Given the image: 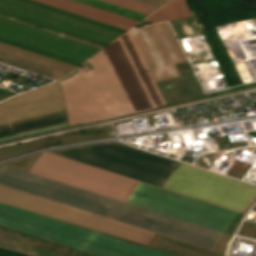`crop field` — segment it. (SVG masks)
I'll return each instance as SVG.
<instances>
[{"label": "crop field", "instance_id": "obj_1", "mask_svg": "<svg viewBox=\"0 0 256 256\" xmlns=\"http://www.w3.org/2000/svg\"><path fill=\"white\" fill-rule=\"evenodd\" d=\"M162 187L177 161L115 144L57 153ZM45 152L29 172L125 201L138 180ZM4 165L0 184L212 250L256 186L178 162L163 188L139 181L127 200L134 206Z\"/></svg>", "mask_w": 256, "mask_h": 256}, {"label": "crop field", "instance_id": "obj_2", "mask_svg": "<svg viewBox=\"0 0 256 256\" xmlns=\"http://www.w3.org/2000/svg\"><path fill=\"white\" fill-rule=\"evenodd\" d=\"M130 34L154 81L179 76L172 63L186 58L168 23ZM88 62L93 70L59 83L70 126L164 104L128 32Z\"/></svg>", "mask_w": 256, "mask_h": 256}, {"label": "crop field", "instance_id": "obj_3", "mask_svg": "<svg viewBox=\"0 0 256 256\" xmlns=\"http://www.w3.org/2000/svg\"><path fill=\"white\" fill-rule=\"evenodd\" d=\"M126 30L33 0H0V41L74 65H81L100 47Z\"/></svg>", "mask_w": 256, "mask_h": 256}, {"label": "crop field", "instance_id": "obj_4", "mask_svg": "<svg viewBox=\"0 0 256 256\" xmlns=\"http://www.w3.org/2000/svg\"><path fill=\"white\" fill-rule=\"evenodd\" d=\"M0 225L100 256H172L2 203Z\"/></svg>", "mask_w": 256, "mask_h": 256}, {"label": "crop field", "instance_id": "obj_5", "mask_svg": "<svg viewBox=\"0 0 256 256\" xmlns=\"http://www.w3.org/2000/svg\"><path fill=\"white\" fill-rule=\"evenodd\" d=\"M0 202L146 246L152 232L0 185Z\"/></svg>", "mask_w": 256, "mask_h": 256}, {"label": "crop field", "instance_id": "obj_6", "mask_svg": "<svg viewBox=\"0 0 256 256\" xmlns=\"http://www.w3.org/2000/svg\"><path fill=\"white\" fill-rule=\"evenodd\" d=\"M64 109L58 82L0 103V123Z\"/></svg>", "mask_w": 256, "mask_h": 256}, {"label": "crop field", "instance_id": "obj_7", "mask_svg": "<svg viewBox=\"0 0 256 256\" xmlns=\"http://www.w3.org/2000/svg\"><path fill=\"white\" fill-rule=\"evenodd\" d=\"M68 126L65 111L0 124V141Z\"/></svg>", "mask_w": 256, "mask_h": 256}, {"label": "crop field", "instance_id": "obj_8", "mask_svg": "<svg viewBox=\"0 0 256 256\" xmlns=\"http://www.w3.org/2000/svg\"><path fill=\"white\" fill-rule=\"evenodd\" d=\"M82 16H86L123 29H130L138 21L125 18L72 0H36Z\"/></svg>", "mask_w": 256, "mask_h": 256}, {"label": "crop field", "instance_id": "obj_9", "mask_svg": "<svg viewBox=\"0 0 256 256\" xmlns=\"http://www.w3.org/2000/svg\"><path fill=\"white\" fill-rule=\"evenodd\" d=\"M0 51L70 73L77 66L0 42Z\"/></svg>", "mask_w": 256, "mask_h": 256}, {"label": "crop field", "instance_id": "obj_10", "mask_svg": "<svg viewBox=\"0 0 256 256\" xmlns=\"http://www.w3.org/2000/svg\"><path fill=\"white\" fill-rule=\"evenodd\" d=\"M0 62L32 72L36 73L54 80H58L68 73L58 71L43 65H39L24 59H20L5 53L0 52Z\"/></svg>", "mask_w": 256, "mask_h": 256}, {"label": "crop field", "instance_id": "obj_11", "mask_svg": "<svg viewBox=\"0 0 256 256\" xmlns=\"http://www.w3.org/2000/svg\"><path fill=\"white\" fill-rule=\"evenodd\" d=\"M190 15L191 13L185 0H171L144 21L156 23L166 20H177Z\"/></svg>", "mask_w": 256, "mask_h": 256}, {"label": "crop field", "instance_id": "obj_12", "mask_svg": "<svg viewBox=\"0 0 256 256\" xmlns=\"http://www.w3.org/2000/svg\"><path fill=\"white\" fill-rule=\"evenodd\" d=\"M104 1L131 9V10H135V11L147 14V15L151 14L152 12H154L156 10V9H153V8H150V7L138 4V3H134V2H131L128 0H104Z\"/></svg>", "mask_w": 256, "mask_h": 256}, {"label": "crop field", "instance_id": "obj_13", "mask_svg": "<svg viewBox=\"0 0 256 256\" xmlns=\"http://www.w3.org/2000/svg\"><path fill=\"white\" fill-rule=\"evenodd\" d=\"M158 9L168 0H131Z\"/></svg>", "mask_w": 256, "mask_h": 256}]
</instances>
